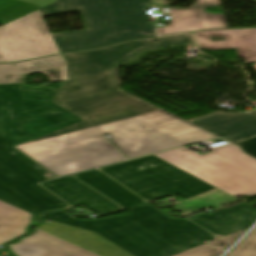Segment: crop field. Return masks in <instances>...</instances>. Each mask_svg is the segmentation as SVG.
<instances>
[{
	"mask_svg": "<svg viewBox=\"0 0 256 256\" xmlns=\"http://www.w3.org/2000/svg\"><path fill=\"white\" fill-rule=\"evenodd\" d=\"M85 121L18 145L57 175L99 167L218 137L127 92L74 112Z\"/></svg>",
	"mask_w": 256,
	"mask_h": 256,
	"instance_id": "obj_1",
	"label": "crop field"
},
{
	"mask_svg": "<svg viewBox=\"0 0 256 256\" xmlns=\"http://www.w3.org/2000/svg\"><path fill=\"white\" fill-rule=\"evenodd\" d=\"M38 217L96 232L133 256H172L215 238L185 219L168 218L149 204L130 209L127 215L95 221L75 220L64 211Z\"/></svg>",
	"mask_w": 256,
	"mask_h": 256,
	"instance_id": "obj_2",
	"label": "crop field"
},
{
	"mask_svg": "<svg viewBox=\"0 0 256 256\" xmlns=\"http://www.w3.org/2000/svg\"><path fill=\"white\" fill-rule=\"evenodd\" d=\"M190 44L192 35L182 34L65 54L69 80L61 82L52 102L74 112L118 95L124 91L118 87L116 67L145 50Z\"/></svg>",
	"mask_w": 256,
	"mask_h": 256,
	"instance_id": "obj_3",
	"label": "crop field"
},
{
	"mask_svg": "<svg viewBox=\"0 0 256 256\" xmlns=\"http://www.w3.org/2000/svg\"><path fill=\"white\" fill-rule=\"evenodd\" d=\"M54 92L42 86L0 85V139L16 146L82 122L50 102Z\"/></svg>",
	"mask_w": 256,
	"mask_h": 256,
	"instance_id": "obj_4",
	"label": "crop field"
},
{
	"mask_svg": "<svg viewBox=\"0 0 256 256\" xmlns=\"http://www.w3.org/2000/svg\"><path fill=\"white\" fill-rule=\"evenodd\" d=\"M201 156L182 147L155 156L234 196L256 195V159L231 144Z\"/></svg>",
	"mask_w": 256,
	"mask_h": 256,
	"instance_id": "obj_5",
	"label": "crop field"
},
{
	"mask_svg": "<svg viewBox=\"0 0 256 256\" xmlns=\"http://www.w3.org/2000/svg\"><path fill=\"white\" fill-rule=\"evenodd\" d=\"M85 30L52 34L61 53L152 36L143 4L82 12Z\"/></svg>",
	"mask_w": 256,
	"mask_h": 256,
	"instance_id": "obj_6",
	"label": "crop field"
},
{
	"mask_svg": "<svg viewBox=\"0 0 256 256\" xmlns=\"http://www.w3.org/2000/svg\"><path fill=\"white\" fill-rule=\"evenodd\" d=\"M56 178L50 172L0 140V200L29 213L72 208L38 185Z\"/></svg>",
	"mask_w": 256,
	"mask_h": 256,
	"instance_id": "obj_7",
	"label": "crop field"
},
{
	"mask_svg": "<svg viewBox=\"0 0 256 256\" xmlns=\"http://www.w3.org/2000/svg\"><path fill=\"white\" fill-rule=\"evenodd\" d=\"M100 170L148 201L176 193L188 199L215 189L154 156Z\"/></svg>",
	"mask_w": 256,
	"mask_h": 256,
	"instance_id": "obj_8",
	"label": "crop field"
},
{
	"mask_svg": "<svg viewBox=\"0 0 256 256\" xmlns=\"http://www.w3.org/2000/svg\"><path fill=\"white\" fill-rule=\"evenodd\" d=\"M56 53L59 51L38 10L0 26V62H13Z\"/></svg>",
	"mask_w": 256,
	"mask_h": 256,
	"instance_id": "obj_9",
	"label": "crop field"
},
{
	"mask_svg": "<svg viewBox=\"0 0 256 256\" xmlns=\"http://www.w3.org/2000/svg\"><path fill=\"white\" fill-rule=\"evenodd\" d=\"M189 9H169L171 20L165 27L156 28L158 35L204 29L228 28L224 14L207 13L204 7L221 5L220 0H196Z\"/></svg>",
	"mask_w": 256,
	"mask_h": 256,
	"instance_id": "obj_10",
	"label": "crop field"
},
{
	"mask_svg": "<svg viewBox=\"0 0 256 256\" xmlns=\"http://www.w3.org/2000/svg\"><path fill=\"white\" fill-rule=\"evenodd\" d=\"M41 185L72 206L82 204L99 216L123 210L70 176Z\"/></svg>",
	"mask_w": 256,
	"mask_h": 256,
	"instance_id": "obj_11",
	"label": "crop field"
},
{
	"mask_svg": "<svg viewBox=\"0 0 256 256\" xmlns=\"http://www.w3.org/2000/svg\"><path fill=\"white\" fill-rule=\"evenodd\" d=\"M189 121L231 142L256 135V111L215 112Z\"/></svg>",
	"mask_w": 256,
	"mask_h": 256,
	"instance_id": "obj_12",
	"label": "crop field"
},
{
	"mask_svg": "<svg viewBox=\"0 0 256 256\" xmlns=\"http://www.w3.org/2000/svg\"><path fill=\"white\" fill-rule=\"evenodd\" d=\"M37 229L99 256H131L96 233L50 221Z\"/></svg>",
	"mask_w": 256,
	"mask_h": 256,
	"instance_id": "obj_13",
	"label": "crop field"
},
{
	"mask_svg": "<svg viewBox=\"0 0 256 256\" xmlns=\"http://www.w3.org/2000/svg\"><path fill=\"white\" fill-rule=\"evenodd\" d=\"M188 219L201 225L215 235L225 236L249 227L256 219V208L244 204L225 211L210 215H197Z\"/></svg>",
	"mask_w": 256,
	"mask_h": 256,
	"instance_id": "obj_14",
	"label": "crop field"
},
{
	"mask_svg": "<svg viewBox=\"0 0 256 256\" xmlns=\"http://www.w3.org/2000/svg\"><path fill=\"white\" fill-rule=\"evenodd\" d=\"M11 248L20 256H97L39 230Z\"/></svg>",
	"mask_w": 256,
	"mask_h": 256,
	"instance_id": "obj_15",
	"label": "crop field"
},
{
	"mask_svg": "<svg viewBox=\"0 0 256 256\" xmlns=\"http://www.w3.org/2000/svg\"><path fill=\"white\" fill-rule=\"evenodd\" d=\"M75 177L124 208L145 202L140 197L97 170L75 175Z\"/></svg>",
	"mask_w": 256,
	"mask_h": 256,
	"instance_id": "obj_16",
	"label": "crop field"
},
{
	"mask_svg": "<svg viewBox=\"0 0 256 256\" xmlns=\"http://www.w3.org/2000/svg\"><path fill=\"white\" fill-rule=\"evenodd\" d=\"M60 66L62 81L67 79L66 63L62 55L16 64H0V84L18 83L23 73Z\"/></svg>",
	"mask_w": 256,
	"mask_h": 256,
	"instance_id": "obj_17",
	"label": "crop field"
},
{
	"mask_svg": "<svg viewBox=\"0 0 256 256\" xmlns=\"http://www.w3.org/2000/svg\"><path fill=\"white\" fill-rule=\"evenodd\" d=\"M57 2L50 4L40 12L43 16L78 12L99 8L148 3L151 0H56Z\"/></svg>",
	"mask_w": 256,
	"mask_h": 256,
	"instance_id": "obj_18",
	"label": "crop field"
},
{
	"mask_svg": "<svg viewBox=\"0 0 256 256\" xmlns=\"http://www.w3.org/2000/svg\"><path fill=\"white\" fill-rule=\"evenodd\" d=\"M31 214L0 201V244L25 233Z\"/></svg>",
	"mask_w": 256,
	"mask_h": 256,
	"instance_id": "obj_19",
	"label": "crop field"
},
{
	"mask_svg": "<svg viewBox=\"0 0 256 256\" xmlns=\"http://www.w3.org/2000/svg\"><path fill=\"white\" fill-rule=\"evenodd\" d=\"M238 57L245 63L256 61V29L230 30Z\"/></svg>",
	"mask_w": 256,
	"mask_h": 256,
	"instance_id": "obj_20",
	"label": "crop field"
},
{
	"mask_svg": "<svg viewBox=\"0 0 256 256\" xmlns=\"http://www.w3.org/2000/svg\"><path fill=\"white\" fill-rule=\"evenodd\" d=\"M194 35H195L198 46L201 48H205L209 50L234 48L229 30L197 32V33H194ZM219 35H223L225 40L217 41V42H212L209 40L210 36H219Z\"/></svg>",
	"mask_w": 256,
	"mask_h": 256,
	"instance_id": "obj_21",
	"label": "crop field"
},
{
	"mask_svg": "<svg viewBox=\"0 0 256 256\" xmlns=\"http://www.w3.org/2000/svg\"><path fill=\"white\" fill-rule=\"evenodd\" d=\"M233 198L217 189L207 192L205 194L199 195L197 197L188 199L192 204L196 207L200 208L203 206H207L216 202H220L226 199Z\"/></svg>",
	"mask_w": 256,
	"mask_h": 256,
	"instance_id": "obj_22",
	"label": "crop field"
},
{
	"mask_svg": "<svg viewBox=\"0 0 256 256\" xmlns=\"http://www.w3.org/2000/svg\"><path fill=\"white\" fill-rule=\"evenodd\" d=\"M228 256H256V228Z\"/></svg>",
	"mask_w": 256,
	"mask_h": 256,
	"instance_id": "obj_23",
	"label": "crop field"
},
{
	"mask_svg": "<svg viewBox=\"0 0 256 256\" xmlns=\"http://www.w3.org/2000/svg\"><path fill=\"white\" fill-rule=\"evenodd\" d=\"M222 251L207 244L194 247L174 256H217Z\"/></svg>",
	"mask_w": 256,
	"mask_h": 256,
	"instance_id": "obj_24",
	"label": "crop field"
},
{
	"mask_svg": "<svg viewBox=\"0 0 256 256\" xmlns=\"http://www.w3.org/2000/svg\"><path fill=\"white\" fill-rule=\"evenodd\" d=\"M244 230L222 237L208 244L225 249L231 242H233Z\"/></svg>",
	"mask_w": 256,
	"mask_h": 256,
	"instance_id": "obj_25",
	"label": "crop field"
},
{
	"mask_svg": "<svg viewBox=\"0 0 256 256\" xmlns=\"http://www.w3.org/2000/svg\"><path fill=\"white\" fill-rule=\"evenodd\" d=\"M236 145L240 146L245 153L256 157V137L236 143Z\"/></svg>",
	"mask_w": 256,
	"mask_h": 256,
	"instance_id": "obj_26",
	"label": "crop field"
},
{
	"mask_svg": "<svg viewBox=\"0 0 256 256\" xmlns=\"http://www.w3.org/2000/svg\"><path fill=\"white\" fill-rule=\"evenodd\" d=\"M33 73H42L48 77L49 81L61 80L59 67ZM28 74L32 73L23 74V77L20 79V82H23Z\"/></svg>",
	"mask_w": 256,
	"mask_h": 256,
	"instance_id": "obj_27",
	"label": "crop field"
},
{
	"mask_svg": "<svg viewBox=\"0 0 256 256\" xmlns=\"http://www.w3.org/2000/svg\"><path fill=\"white\" fill-rule=\"evenodd\" d=\"M253 67L256 69V63H255V65H253Z\"/></svg>",
	"mask_w": 256,
	"mask_h": 256,
	"instance_id": "obj_28",
	"label": "crop field"
},
{
	"mask_svg": "<svg viewBox=\"0 0 256 256\" xmlns=\"http://www.w3.org/2000/svg\"><path fill=\"white\" fill-rule=\"evenodd\" d=\"M252 1L256 3V0H252Z\"/></svg>",
	"mask_w": 256,
	"mask_h": 256,
	"instance_id": "obj_29",
	"label": "crop field"
}]
</instances>
